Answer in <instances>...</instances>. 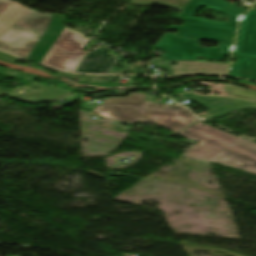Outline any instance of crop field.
<instances>
[{"instance_id": "crop-field-1", "label": "crop field", "mask_w": 256, "mask_h": 256, "mask_svg": "<svg viewBox=\"0 0 256 256\" xmlns=\"http://www.w3.org/2000/svg\"><path fill=\"white\" fill-rule=\"evenodd\" d=\"M64 21L58 14H40L0 0V50L39 64L65 27Z\"/></svg>"}, {"instance_id": "crop-field-2", "label": "crop field", "mask_w": 256, "mask_h": 256, "mask_svg": "<svg viewBox=\"0 0 256 256\" xmlns=\"http://www.w3.org/2000/svg\"><path fill=\"white\" fill-rule=\"evenodd\" d=\"M178 134L202 140L185 154L206 161L229 164L256 174V145L242 138L199 122Z\"/></svg>"}, {"instance_id": "crop-field-3", "label": "crop field", "mask_w": 256, "mask_h": 256, "mask_svg": "<svg viewBox=\"0 0 256 256\" xmlns=\"http://www.w3.org/2000/svg\"><path fill=\"white\" fill-rule=\"evenodd\" d=\"M146 94L136 93L127 98L106 99L94 112L107 118L138 122L153 121L169 130H179L197 119L177 105L144 101Z\"/></svg>"}, {"instance_id": "crop-field-4", "label": "crop field", "mask_w": 256, "mask_h": 256, "mask_svg": "<svg viewBox=\"0 0 256 256\" xmlns=\"http://www.w3.org/2000/svg\"><path fill=\"white\" fill-rule=\"evenodd\" d=\"M201 7L217 10L227 15L228 23H214L205 18H194V14ZM244 12L245 10L224 0H192L179 15L183 24L181 26L171 25L170 28L178 30L177 37L232 43L239 17Z\"/></svg>"}, {"instance_id": "crop-field-5", "label": "crop field", "mask_w": 256, "mask_h": 256, "mask_svg": "<svg viewBox=\"0 0 256 256\" xmlns=\"http://www.w3.org/2000/svg\"><path fill=\"white\" fill-rule=\"evenodd\" d=\"M90 39L84 34L65 27L48 50L40 65L56 70L74 72L85 51H82Z\"/></svg>"}, {"instance_id": "crop-field-6", "label": "crop field", "mask_w": 256, "mask_h": 256, "mask_svg": "<svg viewBox=\"0 0 256 256\" xmlns=\"http://www.w3.org/2000/svg\"><path fill=\"white\" fill-rule=\"evenodd\" d=\"M200 40L176 38V34L165 33L156 48L165 51V60L196 61L198 55L204 59L222 60L230 54L232 44L220 42L218 48L199 47Z\"/></svg>"}, {"instance_id": "crop-field-7", "label": "crop field", "mask_w": 256, "mask_h": 256, "mask_svg": "<svg viewBox=\"0 0 256 256\" xmlns=\"http://www.w3.org/2000/svg\"><path fill=\"white\" fill-rule=\"evenodd\" d=\"M181 96L190 99L208 109V112L197 115L198 117L207 120L237 109L241 108H251L256 109V103H249L238 99L232 98H223L217 96H198L196 94L185 93L181 94ZM220 101L219 104H215L214 101ZM215 109L216 111H212Z\"/></svg>"}, {"instance_id": "crop-field-8", "label": "crop field", "mask_w": 256, "mask_h": 256, "mask_svg": "<svg viewBox=\"0 0 256 256\" xmlns=\"http://www.w3.org/2000/svg\"><path fill=\"white\" fill-rule=\"evenodd\" d=\"M233 55L256 57V11L242 17Z\"/></svg>"}, {"instance_id": "crop-field-9", "label": "crop field", "mask_w": 256, "mask_h": 256, "mask_svg": "<svg viewBox=\"0 0 256 256\" xmlns=\"http://www.w3.org/2000/svg\"><path fill=\"white\" fill-rule=\"evenodd\" d=\"M110 48V45L104 48H98L88 54L83 59L79 68L76 72L80 73H104L107 72L110 65L115 59V56L110 55L107 50Z\"/></svg>"}, {"instance_id": "crop-field-10", "label": "crop field", "mask_w": 256, "mask_h": 256, "mask_svg": "<svg viewBox=\"0 0 256 256\" xmlns=\"http://www.w3.org/2000/svg\"><path fill=\"white\" fill-rule=\"evenodd\" d=\"M178 66H170L174 70L172 75L183 74H211L226 75L228 64L225 63H204V62H186L176 61Z\"/></svg>"}, {"instance_id": "crop-field-11", "label": "crop field", "mask_w": 256, "mask_h": 256, "mask_svg": "<svg viewBox=\"0 0 256 256\" xmlns=\"http://www.w3.org/2000/svg\"><path fill=\"white\" fill-rule=\"evenodd\" d=\"M30 86L42 89L43 92H40V90L35 92L29 89ZM30 86L28 87V90H30L31 92L27 91L23 93L20 97L16 98L17 101L36 104L40 101H58L71 94L70 91L59 87H47L43 84L38 83H32ZM36 94L38 95L39 99H37V97L35 96ZM50 98H52L53 100H49Z\"/></svg>"}, {"instance_id": "crop-field-12", "label": "crop field", "mask_w": 256, "mask_h": 256, "mask_svg": "<svg viewBox=\"0 0 256 256\" xmlns=\"http://www.w3.org/2000/svg\"><path fill=\"white\" fill-rule=\"evenodd\" d=\"M229 75L256 81V58L239 57L236 63L231 64Z\"/></svg>"}, {"instance_id": "crop-field-13", "label": "crop field", "mask_w": 256, "mask_h": 256, "mask_svg": "<svg viewBox=\"0 0 256 256\" xmlns=\"http://www.w3.org/2000/svg\"><path fill=\"white\" fill-rule=\"evenodd\" d=\"M188 0H131L130 3L141 6L149 3H158L174 10L180 11Z\"/></svg>"}, {"instance_id": "crop-field-14", "label": "crop field", "mask_w": 256, "mask_h": 256, "mask_svg": "<svg viewBox=\"0 0 256 256\" xmlns=\"http://www.w3.org/2000/svg\"><path fill=\"white\" fill-rule=\"evenodd\" d=\"M0 75H2L4 77H8V78H18L22 81L21 84H25V83L37 78V76H34V75L24 74V73L16 72V71L6 69V68H0Z\"/></svg>"}, {"instance_id": "crop-field-15", "label": "crop field", "mask_w": 256, "mask_h": 256, "mask_svg": "<svg viewBox=\"0 0 256 256\" xmlns=\"http://www.w3.org/2000/svg\"><path fill=\"white\" fill-rule=\"evenodd\" d=\"M0 60L5 61V62H9V63H13L19 59L12 57V56H8L6 54L0 53Z\"/></svg>"}, {"instance_id": "crop-field-16", "label": "crop field", "mask_w": 256, "mask_h": 256, "mask_svg": "<svg viewBox=\"0 0 256 256\" xmlns=\"http://www.w3.org/2000/svg\"><path fill=\"white\" fill-rule=\"evenodd\" d=\"M94 106L87 105V104H81V108L85 110L91 111Z\"/></svg>"}]
</instances>
